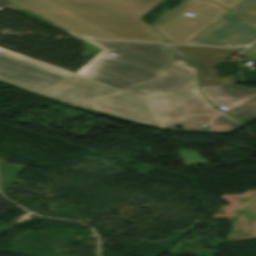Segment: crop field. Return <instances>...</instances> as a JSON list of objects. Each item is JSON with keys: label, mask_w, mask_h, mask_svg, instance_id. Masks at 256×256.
Masks as SVG:
<instances>
[{"label": "crop field", "mask_w": 256, "mask_h": 256, "mask_svg": "<svg viewBox=\"0 0 256 256\" xmlns=\"http://www.w3.org/2000/svg\"><path fill=\"white\" fill-rule=\"evenodd\" d=\"M201 89L212 105H222L226 108L256 93V89L237 85L206 86Z\"/></svg>", "instance_id": "obj_9"}, {"label": "crop field", "mask_w": 256, "mask_h": 256, "mask_svg": "<svg viewBox=\"0 0 256 256\" xmlns=\"http://www.w3.org/2000/svg\"><path fill=\"white\" fill-rule=\"evenodd\" d=\"M166 130L207 132L199 128L217 116L221 111L213 108L203 95L151 100Z\"/></svg>", "instance_id": "obj_5"}, {"label": "crop field", "mask_w": 256, "mask_h": 256, "mask_svg": "<svg viewBox=\"0 0 256 256\" xmlns=\"http://www.w3.org/2000/svg\"><path fill=\"white\" fill-rule=\"evenodd\" d=\"M240 56L246 57L252 60H256V44L253 45L251 48H249L247 51H245Z\"/></svg>", "instance_id": "obj_16"}, {"label": "crop field", "mask_w": 256, "mask_h": 256, "mask_svg": "<svg viewBox=\"0 0 256 256\" xmlns=\"http://www.w3.org/2000/svg\"><path fill=\"white\" fill-rule=\"evenodd\" d=\"M83 40V39H82ZM93 44H96L106 50L101 51L105 54H110V52L115 53V54H119L124 42H118V41H104V40H89V39H85ZM84 40V41H85ZM116 55V57H117Z\"/></svg>", "instance_id": "obj_12"}, {"label": "crop field", "mask_w": 256, "mask_h": 256, "mask_svg": "<svg viewBox=\"0 0 256 256\" xmlns=\"http://www.w3.org/2000/svg\"><path fill=\"white\" fill-rule=\"evenodd\" d=\"M126 91L149 99L201 94L195 69L175 60L161 81Z\"/></svg>", "instance_id": "obj_7"}, {"label": "crop field", "mask_w": 256, "mask_h": 256, "mask_svg": "<svg viewBox=\"0 0 256 256\" xmlns=\"http://www.w3.org/2000/svg\"><path fill=\"white\" fill-rule=\"evenodd\" d=\"M211 1L219 2L222 5H224L228 10H230L243 0H211Z\"/></svg>", "instance_id": "obj_15"}, {"label": "crop field", "mask_w": 256, "mask_h": 256, "mask_svg": "<svg viewBox=\"0 0 256 256\" xmlns=\"http://www.w3.org/2000/svg\"><path fill=\"white\" fill-rule=\"evenodd\" d=\"M255 40L256 20L228 12L189 44L236 47Z\"/></svg>", "instance_id": "obj_6"}, {"label": "crop field", "mask_w": 256, "mask_h": 256, "mask_svg": "<svg viewBox=\"0 0 256 256\" xmlns=\"http://www.w3.org/2000/svg\"><path fill=\"white\" fill-rule=\"evenodd\" d=\"M172 60L163 45L126 42L117 58L99 52L76 74L126 90L161 80Z\"/></svg>", "instance_id": "obj_3"}, {"label": "crop field", "mask_w": 256, "mask_h": 256, "mask_svg": "<svg viewBox=\"0 0 256 256\" xmlns=\"http://www.w3.org/2000/svg\"><path fill=\"white\" fill-rule=\"evenodd\" d=\"M210 125L211 133H230L244 126L224 113L215 118Z\"/></svg>", "instance_id": "obj_11"}, {"label": "crop field", "mask_w": 256, "mask_h": 256, "mask_svg": "<svg viewBox=\"0 0 256 256\" xmlns=\"http://www.w3.org/2000/svg\"><path fill=\"white\" fill-rule=\"evenodd\" d=\"M186 12L213 24L228 11L213 2L185 0L173 10L165 12L151 26L168 42L186 44L190 38L209 26L207 23L183 15Z\"/></svg>", "instance_id": "obj_4"}, {"label": "crop field", "mask_w": 256, "mask_h": 256, "mask_svg": "<svg viewBox=\"0 0 256 256\" xmlns=\"http://www.w3.org/2000/svg\"><path fill=\"white\" fill-rule=\"evenodd\" d=\"M85 37L166 41L139 18L162 0H12Z\"/></svg>", "instance_id": "obj_2"}, {"label": "crop field", "mask_w": 256, "mask_h": 256, "mask_svg": "<svg viewBox=\"0 0 256 256\" xmlns=\"http://www.w3.org/2000/svg\"><path fill=\"white\" fill-rule=\"evenodd\" d=\"M0 81L78 109L165 130L149 99L2 48Z\"/></svg>", "instance_id": "obj_1"}, {"label": "crop field", "mask_w": 256, "mask_h": 256, "mask_svg": "<svg viewBox=\"0 0 256 256\" xmlns=\"http://www.w3.org/2000/svg\"><path fill=\"white\" fill-rule=\"evenodd\" d=\"M231 11L256 18V0H244Z\"/></svg>", "instance_id": "obj_13"}, {"label": "crop field", "mask_w": 256, "mask_h": 256, "mask_svg": "<svg viewBox=\"0 0 256 256\" xmlns=\"http://www.w3.org/2000/svg\"><path fill=\"white\" fill-rule=\"evenodd\" d=\"M166 50L174 57L175 60L180 61L182 63H185L189 66H192L195 68V65L192 64L190 61H188L185 57H183L179 52H177L174 48L171 46L164 45Z\"/></svg>", "instance_id": "obj_14"}, {"label": "crop field", "mask_w": 256, "mask_h": 256, "mask_svg": "<svg viewBox=\"0 0 256 256\" xmlns=\"http://www.w3.org/2000/svg\"><path fill=\"white\" fill-rule=\"evenodd\" d=\"M226 112L244 124L256 120V95Z\"/></svg>", "instance_id": "obj_10"}, {"label": "crop field", "mask_w": 256, "mask_h": 256, "mask_svg": "<svg viewBox=\"0 0 256 256\" xmlns=\"http://www.w3.org/2000/svg\"><path fill=\"white\" fill-rule=\"evenodd\" d=\"M180 52L193 61L197 66L201 86L218 84H235V76L218 77L213 68L226 57L243 49H215L174 45Z\"/></svg>", "instance_id": "obj_8"}, {"label": "crop field", "mask_w": 256, "mask_h": 256, "mask_svg": "<svg viewBox=\"0 0 256 256\" xmlns=\"http://www.w3.org/2000/svg\"><path fill=\"white\" fill-rule=\"evenodd\" d=\"M0 8H21L22 7L18 6L17 4L9 1V0H0Z\"/></svg>", "instance_id": "obj_17"}]
</instances>
